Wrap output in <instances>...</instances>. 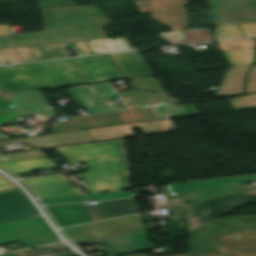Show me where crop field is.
<instances>
[{
  "mask_svg": "<svg viewBox=\"0 0 256 256\" xmlns=\"http://www.w3.org/2000/svg\"><path fill=\"white\" fill-rule=\"evenodd\" d=\"M77 49L79 50L81 56H87V55H91L89 49L87 48L85 42H79V43H75Z\"/></svg>",
  "mask_w": 256,
  "mask_h": 256,
  "instance_id": "1d83c4d3",
  "label": "crop field"
},
{
  "mask_svg": "<svg viewBox=\"0 0 256 256\" xmlns=\"http://www.w3.org/2000/svg\"><path fill=\"white\" fill-rule=\"evenodd\" d=\"M4 65L70 57L64 44L0 50Z\"/></svg>",
  "mask_w": 256,
  "mask_h": 256,
  "instance_id": "d8731c3e",
  "label": "crop field"
},
{
  "mask_svg": "<svg viewBox=\"0 0 256 256\" xmlns=\"http://www.w3.org/2000/svg\"><path fill=\"white\" fill-rule=\"evenodd\" d=\"M47 208L61 227L91 221L82 203L56 205Z\"/></svg>",
  "mask_w": 256,
  "mask_h": 256,
  "instance_id": "733c2abd",
  "label": "crop field"
},
{
  "mask_svg": "<svg viewBox=\"0 0 256 256\" xmlns=\"http://www.w3.org/2000/svg\"><path fill=\"white\" fill-rule=\"evenodd\" d=\"M125 197H134L133 191L120 192V193H99V194L61 197V198H49V199H43V201L45 205H49V204L84 201V200H104V199L125 198Z\"/></svg>",
  "mask_w": 256,
  "mask_h": 256,
  "instance_id": "92a150f3",
  "label": "crop field"
},
{
  "mask_svg": "<svg viewBox=\"0 0 256 256\" xmlns=\"http://www.w3.org/2000/svg\"><path fill=\"white\" fill-rule=\"evenodd\" d=\"M40 198L82 193L80 188H72L63 176H51L25 180ZM28 184V185H29Z\"/></svg>",
  "mask_w": 256,
  "mask_h": 256,
  "instance_id": "22f410ed",
  "label": "crop field"
},
{
  "mask_svg": "<svg viewBox=\"0 0 256 256\" xmlns=\"http://www.w3.org/2000/svg\"><path fill=\"white\" fill-rule=\"evenodd\" d=\"M235 111L256 109V94L230 100Z\"/></svg>",
  "mask_w": 256,
  "mask_h": 256,
  "instance_id": "a9b5d70f",
  "label": "crop field"
},
{
  "mask_svg": "<svg viewBox=\"0 0 256 256\" xmlns=\"http://www.w3.org/2000/svg\"><path fill=\"white\" fill-rule=\"evenodd\" d=\"M0 91H1V89H0Z\"/></svg>",
  "mask_w": 256,
  "mask_h": 256,
  "instance_id": "c21b1889",
  "label": "crop field"
},
{
  "mask_svg": "<svg viewBox=\"0 0 256 256\" xmlns=\"http://www.w3.org/2000/svg\"><path fill=\"white\" fill-rule=\"evenodd\" d=\"M0 256H23V255L20 252H16V253H9V254H4Z\"/></svg>",
  "mask_w": 256,
  "mask_h": 256,
  "instance_id": "028f5c9d",
  "label": "crop field"
},
{
  "mask_svg": "<svg viewBox=\"0 0 256 256\" xmlns=\"http://www.w3.org/2000/svg\"><path fill=\"white\" fill-rule=\"evenodd\" d=\"M113 255L147 250L156 247L149 241L147 232L116 237L99 242Z\"/></svg>",
  "mask_w": 256,
  "mask_h": 256,
  "instance_id": "5142ce71",
  "label": "crop field"
},
{
  "mask_svg": "<svg viewBox=\"0 0 256 256\" xmlns=\"http://www.w3.org/2000/svg\"><path fill=\"white\" fill-rule=\"evenodd\" d=\"M45 32L0 36V49L105 39L110 23L96 6L43 11Z\"/></svg>",
  "mask_w": 256,
  "mask_h": 256,
  "instance_id": "ac0d7876",
  "label": "crop field"
},
{
  "mask_svg": "<svg viewBox=\"0 0 256 256\" xmlns=\"http://www.w3.org/2000/svg\"><path fill=\"white\" fill-rule=\"evenodd\" d=\"M211 242L221 251L256 249V231H244L240 238L232 235L211 240Z\"/></svg>",
  "mask_w": 256,
  "mask_h": 256,
  "instance_id": "4a817a6b",
  "label": "crop field"
},
{
  "mask_svg": "<svg viewBox=\"0 0 256 256\" xmlns=\"http://www.w3.org/2000/svg\"><path fill=\"white\" fill-rule=\"evenodd\" d=\"M146 230L137 215L65 229L76 244H90L98 239Z\"/></svg>",
  "mask_w": 256,
  "mask_h": 256,
  "instance_id": "f4fd0767",
  "label": "crop field"
},
{
  "mask_svg": "<svg viewBox=\"0 0 256 256\" xmlns=\"http://www.w3.org/2000/svg\"><path fill=\"white\" fill-rule=\"evenodd\" d=\"M252 182L256 181V174L250 175Z\"/></svg>",
  "mask_w": 256,
  "mask_h": 256,
  "instance_id": "0bd39190",
  "label": "crop field"
},
{
  "mask_svg": "<svg viewBox=\"0 0 256 256\" xmlns=\"http://www.w3.org/2000/svg\"><path fill=\"white\" fill-rule=\"evenodd\" d=\"M46 157L40 150L0 156V162Z\"/></svg>",
  "mask_w": 256,
  "mask_h": 256,
  "instance_id": "730fd06b",
  "label": "crop field"
},
{
  "mask_svg": "<svg viewBox=\"0 0 256 256\" xmlns=\"http://www.w3.org/2000/svg\"><path fill=\"white\" fill-rule=\"evenodd\" d=\"M256 201V191L188 204L189 231L200 227L238 206Z\"/></svg>",
  "mask_w": 256,
  "mask_h": 256,
  "instance_id": "e52e79f7",
  "label": "crop field"
},
{
  "mask_svg": "<svg viewBox=\"0 0 256 256\" xmlns=\"http://www.w3.org/2000/svg\"><path fill=\"white\" fill-rule=\"evenodd\" d=\"M75 178L77 179H83L85 180L88 185L90 187H85L86 188V193H91V192H99L102 191V189L100 188L99 184L97 183V181L95 180L94 176L92 175V173H86V174H76L73 175ZM96 182H93V181Z\"/></svg>",
  "mask_w": 256,
  "mask_h": 256,
  "instance_id": "eef30255",
  "label": "crop field"
},
{
  "mask_svg": "<svg viewBox=\"0 0 256 256\" xmlns=\"http://www.w3.org/2000/svg\"><path fill=\"white\" fill-rule=\"evenodd\" d=\"M93 54L103 53V52H120L132 50L128 41L125 37L117 38V40L105 39L96 41H87Z\"/></svg>",
  "mask_w": 256,
  "mask_h": 256,
  "instance_id": "214f88e0",
  "label": "crop field"
},
{
  "mask_svg": "<svg viewBox=\"0 0 256 256\" xmlns=\"http://www.w3.org/2000/svg\"><path fill=\"white\" fill-rule=\"evenodd\" d=\"M183 256H256V250L230 251L221 255L197 254V255H183Z\"/></svg>",
  "mask_w": 256,
  "mask_h": 256,
  "instance_id": "ae1a2a85",
  "label": "crop field"
},
{
  "mask_svg": "<svg viewBox=\"0 0 256 256\" xmlns=\"http://www.w3.org/2000/svg\"><path fill=\"white\" fill-rule=\"evenodd\" d=\"M248 182H250L248 177L244 176L220 180L190 182L185 184L177 183L169 185V189L171 191L172 200L175 206L183 204L185 199H187L190 203H193L231 195L232 193L227 187Z\"/></svg>",
  "mask_w": 256,
  "mask_h": 256,
  "instance_id": "dd49c442",
  "label": "crop field"
},
{
  "mask_svg": "<svg viewBox=\"0 0 256 256\" xmlns=\"http://www.w3.org/2000/svg\"><path fill=\"white\" fill-rule=\"evenodd\" d=\"M0 166L13 172H28L35 170H48L57 168L48 158L0 163Z\"/></svg>",
  "mask_w": 256,
  "mask_h": 256,
  "instance_id": "bc2a9ffb",
  "label": "crop field"
},
{
  "mask_svg": "<svg viewBox=\"0 0 256 256\" xmlns=\"http://www.w3.org/2000/svg\"><path fill=\"white\" fill-rule=\"evenodd\" d=\"M3 138H7V136L2 134V133H0V139H3Z\"/></svg>",
  "mask_w": 256,
  "mask_h": 256,
  "instance_id": "b80d0937",
  "label": "crop field"
},
{
  "mask_svg": "<svg viewBox=\"0 0 256 256\" xmlns=\"http://www.w3.org/2000/svg\"><path fill=\"white\" fill-rule=\"evenodd\" d=\"M110 56L128 79L155 76L137 52L113 54Z\"/></svg>",
  "mask_w": 256,
  "mask_h": 256,
  "instance_id": "d9b57169",
  "label": "crop field"
},
{
  "mask_svg": "<svg viewBox=\"0 0 256 256\" xmlns=\"http://www.w3.org/2000/svg\"><path fill=\"white\" fill-rule=\"evenodd\" d=\"M229 189L233 194L256 190V189H246L243 185L230 187Z\"/></svg>",
  "mask_w": 256,
  "mask_h": 256,
  "instance_id": "120bbe31",
  "label": "crop field"
},
{
  "mask_svg": "<svg viewBox=\"0 0 256 256\" xmlns=\"http://www.w3.org/2000/svg\"><path fill=\"white\" fill-rule=\"evenodd\" d=\"M17 241L23 247L59 242L42 216L0 226V245Z\"/></svg>",
  "mask_w": 256,
  "mask_h": 256,
  "instance_id": "412701ff",
  "label": "crop field"
},
{
  "mask_svg": "<svg viewBox=\"0 0 256 256\" xmlns=\"http://www.w3.org/2000/svg\"><path fill=\"white\" fill-rule=\"evenodd\" d=\"M245 37L256 36V23L240 25Z\"/></svg>",
  "mask_w": 256,
  "mask_h": 256,
  "instance_id": "750c4746",
  "label": "crop field"
},
{
  "mask_svg": "<svg viewBox=\"0 0 256 256\" xmlns=\"http://www.w3.org/2000/svg\"><path fill=\"white\" fill-rule=\"evenodd\" d=\"M243 37L238 25L216 27V40Z\"/></svg>",
  "mask_w": 256,
  "mask_h": 256,
  "instance_id": "4177f3b9",
  "label": "crop field"
},
{
  "mask_svg": "<svg viewBox=\"0 0 256 256\" xmlns=\"http://www.w3.org/2000/svg\"><path fill=\"white\" fill-rule=\"evenodd\" d=\"M18 140L27 143L35 148L93 141L87 130H80L53 135H43L31 138L12 139L0 143V146Z\"/></svg>",
  "mask_w": 256,
  "mask_h": 256,
  "instance_id": "d1516ede",
  "label": "crop field"
},
{
  "mask_svg": "<svg viewBox=\"0 0 256 256\" xmlns=\"http://www.w3.org/2000/svg\"><path fill=\"white\" fill-rule=\"evenodd\" d=\"M0 98L4 99L2 96H0Z\"/></svg>",
  "mask_w": 256,
  "mask_h": 256,
  "instance_id": "c035e120",
  "label": "crop field"
},
{
  "mask_svg": "<svg viewBox=\"0 0 256 256\" xmlns=\"http://www.w3.org/2000/svg\"><path fill=\"white\" fill-rule=\"evenodd\" d=\"M54 256H78V255L75 254L73 251H71V252H62L59 254H54Z\"/></svg>",
  "mask_w": 256,
  "mask_h": 256,
  "instance_id": "5866460e",
  "label": "crop field"
},
{
  "mask_svg": "<svg viewBox=\"0 0 256 256\" xmlns=\"http://www.w3.org/2000/svg\"><path fill=\"white\" fill-rule=\"evenodd\" d=\"M90 114L116 111L101 99L118 97L111 82L72 87Z\"/></svg>",
  "mask_w": 256,
  "mask_h": 256,
  "instance_id": "3316defc",
  "label": "crop field"
},
{
  "mask_svg": "<svg viewBox=\"0 0 256 256\" xmlns=\"http://www.w3.org/2000/svg\"><path fill=\"white\" fill-rule=\"evenodd\" d=\"M54 149L70 162H85L103 191L130 189L125 139Z\"/></svg>",
  "mask_w": 256,
  "mask_h": 256,
  "instance_id": "34b2d1b8",
  "label": "crop field"
},
{
  "mask_svg": "<svg viewBox=\"0 0 256 256\" xmlns=\"http://www.w3.org/2000/svg\"><path fill=\"white\" fill-rule=\"evenodd\" d=\"M85 208L92 221L140 212L134 199L100 202Z\"/></svg>",
  "mask_w": 256,
  "mask_h": 256,
  "instance_id": "cbeb9de0",
  "label": "crop field"
},
{
  "mask_svg": "<svg viewBox=\"0 0 256 256\" xmlns=\"http://www.w3.org/2000/svg\"><path fill=\"white\" fill-rule=\"evenodd\" d=\"M14 189L20 188L0 174V193Z\"/></svg>",
  "mask_w": 256,
  "mask_h": 256,
  "instance_id": "d3111659",
  "label": "crop field"
},
{
  "mask_svg": "<svg viewBox=\"0 0 256 256\" xmlns=\"http://www.w3.org/2000/svg\"><path fill=\"white\" fill-rule=\"evenodd\" d=\"M40 248H45V249H47L51 253L59 252V251L68 250L69 249L63 243L55 244V245H50V246H45V247H40Z\"/></svg>",
  "mask_w": 256,
  "mask_h": 256,
  "instance_id": "bd1437ed",
  "label": "crop field"
},
{
  "mask_svg": "<svg viewBox=\"0 0 256 256\" xmlns=\"http://www.w3.org/2000/svg\"><path fill=\"white\" fill-rule=\"evenodd\" d=\"M39 215L21 190L0 194V225Z\"/></svg>",
  "mask_w": 256,
  "mask_h": 256,
  "instance_id": "5a996713",
  "label": "crop field"
},
{
  "mask_svg": "<svg viewBox=\"0 0 256 256\" xmlns=\"http://www.w3.org/2000/svg\"><path fill=\"white\" fill-rule=\"evenodd\" d=\"M10 30L7 25H0V34H8Z\"/></svg>",
  "mask_w": 256,
  "mask_h": 256,
  "instance_id": "d32e631a",
  "label": "crop field"
},
{
  "mask_svg": "<svg viewBox=\"0 0 256 256\" xmlns=\"http://www.w3.org/2000/svg\"><path fill=\"white\" fill-rule=\"evenodd\" d=\"M255 48L223 52L230 67L249 65L253 62Z\"/></svg>",
  "mask_w": 256,
  "mask_h": 256,
  "instance_id": "00972430",
  "label": "crop field"
},
{
  "mask_svg": "<svg viewBox=\"0 0 256 256\" xmlns=\"http://www.w3.org/2000/svg\"><path fill=\"white\" fill-rule=\"evenodd\" d=\"M105 102H107V103H109L110 105H112V106H114L113 104H112V102L109 100V99H106V100H104ZM115 107V106H114ZM115 108H117V109H119V110H121V109H126V108H123V107H115Z\"/></svg>",
  "mask_w": 256,
  "mask_h": 256,
  "instance_id": "e1f06a70",
  "label": "crop field"
},
{
  "mask_svg": "<svg viewBox=\"0 0 256 256\" xmlns=\"http://www.w3.org/2000/svg\"><path fill=\"white\" fill-rule=\"evenodd\" d=\"M136 127H141L145 135L176 131V128L170 119H166L155 122L91 129L89 132L94 141H98L134 136L131 128Z\"/></svg>",
  "mask_w": 256,
  "mask_h": 256,
  "instance_id": "28ad6ade",
  "label": "crop field"
},
{
  "mask_svg": "<svg viewBox=\"0 0 256 256\" xmlns=\"http://www.w3.org/2000/svg\"><path fill=\"white\" fill-rule=\"evenodd\" d=\"M189 107L194 112L195 115H201L194 107H191V106H189ZM152 109L156 113L159 120L166 119V118L193 116L186 105H181V106H173V105L155 106V107H152Z\"/></svg>",
  "mask_w": 256,
  "mask_h": 256,
  "instance_id": "dafd665d",
  "label": "crop field"
},
{
  "mask_svg": "<svg viewBox=\"0 0 256 256\" xmlns=\"http://www.w3.org/2000/svg\"><path fill=\"white\" fill-rule=\"evenodd\" d=\"M122 78L125 76L108 55L0 67V88L7 93Z\"/></svg>",
  "mask_w": 256,
  "mask_h": 256,
  "instance_id": "8a807250",
  "label": "crop field"
}]
</instances>
